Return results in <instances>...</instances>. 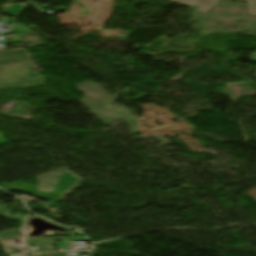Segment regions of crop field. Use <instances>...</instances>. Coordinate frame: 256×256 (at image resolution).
Masks as SVG:
<instances>
[{"label": "crop field", "instance_id": "obj_2", "mask_svg": "<svg viewBox=\"0 0 256 256\" xmlns=\"http://www.w3.org/2000/svg\"><path fill=\"white\" fill-rule=\"evenodd\" d=\"M172 2H185L189 0H171ZM219 0H197L196 3L200 5V8L197 9L200 12L208 11L209 7H213L216 5Z\"/></svg>", "mask_w": 256, "mask_h": 256}, {"label": "crop field", "instance_id": "obj_8", "mask_svg": "<svg viewBox=\"0 0 256 256\" xmlns=\"http://www.w3.org/2000/svg\"><path fill=\"white\" fill-rule=\"evenodd\" d=\"M27 1V3L30 1V0H26Z\"/></svg>", "mask_w": 256, "mask_h": 256}, {"label": "crop field", "instance_id": "obj_3", "mask_svg": "<svg viewBox=\"0 0 256 256\" xmlns=\"http://www.w3.org/2000/svg\"><path fill=\"white\" fill-rule=\"evenodd\" d=\"M25 5L23 4H13L5 7L7 14L16 17L17 11H21Z\"/></svg>", "mask_w": 256, "mask_h": 256}, {"label": "crop field", "instance_id": "obj_6", "mask_svg": "<svg viewBox=\"0 0 256 256\" xmlns=\"http://www.w3.org/2000/svg\"><path fill=\"white\" fill-rule=\"evenodd\" d=\"M6 143H8L6 138L2 134H0V145L6 144Z\"/></svg>", "mask_w": 256, "mask_h": 256}, {"label": "crop field", "instance_id": "obj_1", "mask_svg": "<svg viewBox=\"0 0 256 256\" xmlns=\"http://www.w3.org/2000/svg\"><path fill=\"white\" fill-rule=\"evenodd\" d=\"M17 55H25V58L14 59ZM30 58L25 49L0 51V87H28L27 81L35 86L43 85L45 79L34 72L35 67Z\"/></svg>", "mask_w": 256, "mask_h": 256}, {"label": "crop field", "instance_id": "obj_4", "mask_svg": "<svg viewBox=\"0 0 256 256\" xmlns=\"http://www.w3.org/2000/svg\"><path fill=\"white\" fill-rule=\"evenodd\" d=\"M249 3V11L250 14L256 15V7H253V5H256V0H245Z\"/></svg>", "mask_w": 256, "mask_h": 256}, {"label": "crop field", "instance_id": "obj_7", "mask_svg": "<svg viewBox=\"0 0 256 256\" xmlns=\"http://www.w3.org/2000/svg\"><path fill=\"white\" fill-rule=\"evenodd\" d=\"M195 1H196V0H194V1H189V2H185V3L195 4Z\"/></svg>", "mask_w": 256, "mask_h": 256}, {"label": "crop field", "instance_id": "obj_5", "mask_svg": "<svg viewBox=\"0 0 256 256\" xmlns=\"http://www.w3.org/2000/svg\"><path fill=\"white\" fill-rule=\"evenodd\" d=\"M33 9H35L39 14H43L45 13L44 11H42L37 5H35L33 2L31 4H29Z\"/></svg>", "mask_w": 256, "mask_h": 256}]
</instances>
